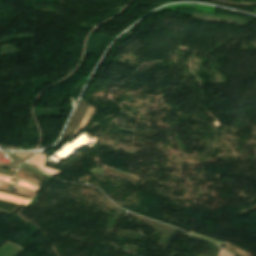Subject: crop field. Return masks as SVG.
<instances>
[{"label": "crop field", "instance_id": "34b2d1b8", "mask_svg": "<svg viewBox=\"0 0 256 256\" xmlns=\"http://www.w3.org/2000/svg\"><path fill=\"white\" fill-rule=\"evenodd\" d=\"M7 185L8 184H6V183L0 182V189L7 190V189L3 188V187H7ZM15 188L18 189L16 192L25 194V195L30 196L32 198H34L37 195V192L31 191V190L26 189V188H22V187H18V186H16Z\"/></svg>", "mask_w": 256, "mask_h": 256}, {"label": "crop field", "instance_id": "412701ff", "mask_svg": "<svg viewBox=\"0 0 256 256\" xmlns=\"http://www.w3.org/2000/svg\"><path fill=\"white\" fill-rule=\"evenodd\" d=\"M18 185H21L23 187H26V188H29V189H32L34 191H39V188L38 186H34V185H31L29 183H26V182H22V181H19Z\"/></svg>", "mask_w": 256, "mask_h": 256}, {"label": "crop field", "instance_id": "f4fd0767", "mask_svg": "<svg viewBox=\"0 0 256 256\" xmlns=\"http://www.w3.org/2000/svg\"><path fill=\"white\" fill-rule=\"evenodd\" d=\"M10 179H13V178H11V177H7V176H4V175H1L0 174V181H2V182H6V183H12V184H15V182H11V181H9ZM15 180V179H14Z\"/></svg>", "mask_w": 256, "mask_h": 256}, {"label": "crop field", "instance_id": "8a807250", "mask_svg": "<svg viewBox=\"0 0 256 256\" xmlns=\"http://www.w3.org/2000/svg\"><path fill=\"white\" fill-rule=\"evenodd\" d=\"M47 159V156L42 154V153H37L36 155H34L30 160H28V162L32 163L33 165H36L39 169H41L42 171L48 173V174H56L60 171L57 170H53L47 167H44V163Z\"/></svg>", "mask_w": 256, "mask_h": 256}, {"label": "crop field", "instance_id": "ac0d7876", "mask_svg": "<svg viewBox=\"0 0 256 256\" xmlns=\"http://www.w3.org/2000/svg\"><path fill=\"white\" fill-rule=\"evenodd\" d=\"M0 199L10 201V202H14V203H18L20 205H25V204H28L30 202V200L24 199L22 197L9 195V194H5V193H1V192H0Z\"/></svg>", "mask_w": 256, "mask_h": 256}, {"label": "crop field", "instance_id": "dd49c442", "mask_svg": "<svg viewBox=\"0 0 256 256\" xmlns=\"http://www.w3.org/2000/svg\"><path fill=\"white\" fill-rule=\"evenodd\" d=\"M4 156V154L0 153V159ZM0 164H6L0 161Z\"/></svg>", "mask_w": 256, "mask_h": 256}]
</instances>
